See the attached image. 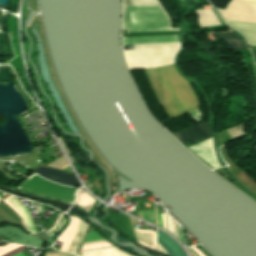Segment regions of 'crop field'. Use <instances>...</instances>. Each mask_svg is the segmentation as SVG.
Returning <instances> with one entry per match:
<instances>
[{
  "label": "crop field",
  "instance_id": "5",
  "mask_svg": "<svg viewBox=\"0 0 256 256\" xmlns=\"http://www.w3.org/2000/svg\"><path fill=\"white\" fill-rule=\"evenodd\" d=\"M217 11L222 15L224 20L256 24V3L231 0L225 11L219 9Z\"/></svg>",
  "mask_w": 256,
  "mask_h": 256
},
{
  "label": "crop field",
  "instance_id": "15",
  "mask_svg": "<svg viewBox=\"0 0 256 256\" xmlns=\"http://www.w3.org/2000/svg\"><path fill=\"white\" fill-rule=\"evenodd\" d=\"M196 14L199 27L220 25L212 10L196 11Z\"/></svg>",
  "mask_w": 256,
  "mask_h": 256
},
{
  "label": "crop field",
  "instance_id": "27",
  "mask_svg": "<svg viewBox=\"0 0 256 256\" xmlns=\"http://www.w3.org/2000/svg\"><path fill=\"white\" fill-rule=\"evenodd\" d=\"M172 49H179V48H172ZM151 50H171V49H151ZM151 50H124V51L132 52V51H151Z\"/></svg>",
  "mask_w": 256,
  "mask_h": 256
},
{
  "label": "crop field",
  "instance_id": "8",
  "mask_svg": "<svg viewBox=\"0 0 256 256\" xmlns=\"http://www.w3.org/2000/svg\"><path fill=\"white\" fill-rule=\"evenodd\" d=\"M195 154H197L202 160L211 165L214 169L221 167L213 148L212 137L197 144L189 147Z\"/></svg>",
  "mask_w": 256,
  "mask_h": 256
},
{
  "label": "crop field",
  "instance_id": "22",
  "mask_svg": "<svg viewBox=\"0 0 256 256\" xmlns=\"http://www.w3.org/2000/svg\"><path fill=\"white\" fill-rule=\"evenodd\" d=\"M229 50H244L241 39L239 40H224Z\"/></svg>",
  "mask_w": 256,
  "mask_h": 256
},
{
  "label": "crop field",
  "instance_id": "3",
  "mask_svg": "<svg viewBox=\"0 0 256 256\" xmlns=\"http://www.w3.org/2000/svg\"><path fill=\"white\" fill-rule=\"evenodd\" d=\"M19 189L72 203L76 188L66 187L43 180L35 175L30 177Z\"/></svg>",
  "mask_w": 256,
  "mask_h": 256
},
{
  "label": "crop field",
  "instance_id": "2",
  "mask_svg": "<svg viewBox=\"0 0 256 256\" xmlns=\"http://www.w3.org/2000/svg\"><path fill=\"white\" fill-rule=\"evenodd\" d=\"M171 17L162 7H124L123 28L128 32L180 31L170 29Z\"/></svg>",
  "mask_w": 256,
  "mask_h": 256
},
{
  "label": "crop field",
  "instance_id": "10",
  "mask_svg": "<svg viewBox=\"0 0 256 256\" xmlns=\"http://www.w3.org/2000/svg\"><path fill=\"white\" fill-rule=\"evenodd\" d=\"M113 248L115 247L104 241L95 231H91L88 233L79 254Z\"/></svg>",
  "mask_w": 256,
  "mask_h": 256
},
{
  "label": "crop field",
  "instance_id": "12",
  "mask_svg": "<svg viewBox=\"0 0 256 256\" xmlns=\"http://www.w3.org/2000/svg\"><path fill=\"white\" fill-rule=\"evenodd\" d=\"M225 22L242 33L247 38L249 45H256V25L231 21Z\"/></svg>",
  "mask_w": 256,
  "mask_h": 256
},
{
  "label": "crop field",
  "instance_id": "16",
  "mask_svg": "<svg viewBox=\"0 0 256 256\" xmlns=\"http://www.w3.org/2000/svg\"><path fill=\"white\" fill-rule=\"evenodd\" d=\"M1 223L21 224L20 217L14 213L4 202L0 203V224Z\"/></svg>",
  "mask_w": 256,
  "mask_h": 256
},
{
  "label": "crop field",
  "instance_id": "18",
  "mask_svg": "<svg viewBox=\"0 0 256 256\" xmlns=\"http://www.w3.org/2000/svg\"><path fill=\"white\" fill-rule=\"evenodd\" d=\"M77 256H130V255H128L118 249H113V250H107V251L81 254V255H77Z\"/></svg>",
  "mask_w": 256,
  "mask_h": 256
},
{
  "label": "crop field",
  "instance_id": "19",
  "mask_svg": "<svg viewBox=\"0 0 256 256\" xmlns=\"http://www.w3.org/2000/svg\"><path fill=\"white\" fill-rule=\"evenodd\" d=\"M124 6H160L157 0H124Z\"/></svg>",
  "mask_w": 256,
  "mask_h": 256
},
{
  "label": "crop field",
  "instance_id": "4",
  "mask_svg": "<svg viewBox=\"0 0 256 256\" xmlns=\"http://www.w3.org/2000/svg\"><path fill=\"white\" fill-rule=\"evenodd\" d=\"M179 50L125 53L129 69L153 68L174 64Z\"/></svg>",
  "mask_w": 256,
  "mask_h": 256
},
{
  "label": "crop field",
  "instance_id": "21",
  "mask_svg": "<svg viewBox=\"0 0 256 256\" xmlns=\"http://www.w3.org/2000/svg\"><path fill=\"white\" fill-rule=\"evenodd\" d=\"M134 49L138 48H171V47H181L180 43H170V44H152V45H133Z\"/></svg>",
  "mask_w": 256,
  "mask_h": 256
},
{
  "label": "crop field",
  "instance_id": "14",
  "mask_svg": "<svg viewBox=\"0 0 256 256\" xmlns=\"http://www.w3.org/2000/svg\"><path fill=\"white\" fill-rule=\"evenodd\" d=\"M137 236L138 243L156 251V234L152 231L139 230L133 228Z\"/></svg>",
  "mask_w": 256,
  "mask_h": 256
},
{
  "label": "crop field",
  "instance_id": "25",
  "mask_svg": "<svg viewBox=\"0 0 256 256\" xmlns=\"http://www.w3.org/2000/svg\"><path fill=\"white\" fill-rule=\"evenodd\" d=\"M46 256H74V255H72V254H67V253L57 252V253H55V254L46 253Z\"/></svg>",
  "mask_w": 256,
  "mask_h": 256
},
{
  "label": "crop field",
  "instance_id": "6",
  "mask_svg": "<svg viewBox=\"0 0 256 256\" xmlns=\"http://www.w3.org/2000/svg\"><path fill=\"white\" fill-rule=\"evenodd\" d=\"M71 219H72V221H71L70 225L58 239V241L63 242L61 247L59 248L60 251H64V252L67 251V249H68V247L78 229V226L81 222L76 217H72ZM87 228H88V226L85 223L81 222L80 227L77 231V234H76L68 252L75 253V254L77 253V250L87 232Z\"/></svg>",
  "mask_w": 256,
  "mask_h": 256
},
{
  "label": "crop field",
  "instance_id": "24",
  "mask_svg": "<svg viewBox=\"0 0 256 256\" xmlns=\"http://www.w3.org/2000/svg\"><path fill=\"white\" fill-rule=\"evenodd\" d=\"M209 1H210L215 7L224 9L226 3H227L229 0H209ZM247 1L256 2V0H247Z\"/></svg>",
  "mask_w": 256,
  "mask_h": 256
},
{
  "label": "crop field",
  "instance_id": "9",
  "mask_svg": "<svg viewBox=\"0 0 256 256\" xmlns=\"http://www.w3.org/2000/svg\"><path fill=\"white\" fill-rule=\"evenodd\" d=\"M33 171H35L40 176H42L46 179L53 180L57 183L70 185V186H74V187H76V185L78 184V180H77L76 176L70 175L67 173H63L60 171H56L53 169H49V168H46L43 166H41Z\"/></svg>",
  "mask_w": 256,
  "mask_h": 256
},
{
  "label": "crop field",
  "instance_id": "23",
  "mask_svg": "<svg viewBox=\"0 0 256 256\" xmlns=\"http://www.w3.org/2000/svg\"><path fill=\"white\" fill-rule=\"evenodd\" d=\"M212 36L214 37V39H239V38H241L235 32L222 33V34H212Z\"/></svg>",
  "mask_w": 256,
  "mask_h": 256
},
{
  "label": "crop field",
  "instance_id": "11",
  "mask_svg": "<svg viewBox=\"0 0 256 256\" xmlns=\"http://www.w3.org/2000/svg\"><path fill=\"white\" fill-rule=\"evenodd\" d=\"M179 42L178 35L123 38V44Z\"/></svg>",
  "mask_w": 256,
  "mask_h": 256
},
{
  "label": "crop field",
  "instance_id": "30",
  "mask_svg": "<svg viewBox=\"0 0 256 256\" xmlns=\"http://www.w3.org/2000/svg\"><path fill=\"white\" fill-rule=\"evenodd\" d=\"M1 201V200H0Z\"/></svg>",
  "mask_w": 256,
  "mask_h": 256
},
{
  "label": "crop field",
  "instance_id": "26",
  "mask_svg": "<svg viewBox=\"0 0 256 256\" xmlns=\"http://www.w3.org/2000/svg\"><path fill=\"white\" fill-rule=\"evenodd\" d=\"M23 252V254L25 255V256H34L32 253H28L27 251H22ZM22 252H20V253H18V254H16V255H14V256H24L23 254H22Z\"/></svg>",
  "mask_w": 256,
  "mask_h": 256
},
{
  "label": "crop field",
  "instance_id": "29",
  "mask_svg": "<svg viewBox=\"0 0 256 256\" xmlns=\"http://www.w3.org/2000/svg\"><path fill=\"white\" fill-rule=\"evenodd\" d=\"M253 67H254V73H255V77H256V66L253 65Z\"/></svg>",
  "mask_w": 256,
  "mask_h": 256
},
{
  "label": "crop field",
  "instance_id": "20",
  "mask_svg": "<svg viewBox=\"0 0 256 256\" xmlns=\"http://www.w3.org/2000/svg\"><path fill=\"white\" fill-rule=\"evenodd\" d=\"M243 124L227 129V132L229 133V135L232 137L233 140L241 136H245V133L243 131Z\"/></svg>",
  "mask_w": 256,
  "mask_h": 256
},
{
  "label": "crop field",
  "instance_id": "13",
  "mask_svg": "<svg viewBox=\"0 0 256 256\" xmlns=\"http://www.w3.org/2000/svg\"><path fill=\"white\" fill-rule=\"evenodd\" d=\"M155 213H156V218H157V224L160 226H162V224H163V228L169 230L182 243H184V238L182 236L180 228L168 217L167 213L161 214L162 224H161V217H160V214H158L157 207H155Z\"/></svg>",
  "mask_w": 256,
  "mask_h": 256
},
{
  "label": "crop field",
  "instance_id": "7",
  "mask_svg": "<svg viewBox=\"0 0 256 256\" xmlns=\"http://www.w3.org/2000/svg\"><path fill=\"white\" fill-rule=\"evenodd\" d=\"M211 135L207 122L173 134L180 143L187 141L190 145Z\"/></svg>",
  "mask_w": 256,
  "mask_h": 256
},
{
  "label": "crop field",
  "instance_id": "17",
  "mask_svg": "<svg viewBox=\"0 0 256 256\" xmlns=\"http://www.w3.org/2000/svg\"><path fill=\"white\" fill-rule=\"evenodd\" d=\"M93 202V199L86 194L84 191H80L78 194V200L77 205L85 209L86 211L89 210L91 204Z\"/></svg>",
  "mask_w": 256,
  "mask_h": 256
},
{
  "label": "crop field",
  "instance_id": "28",
  "mask_svg": "<svg viewBox=\"0 0 256 256\" xmlns=\"http://www.w3.org/2000/svg\"><path fill=\"white\" fill-rule=\"evenodd\" d=\"M139 217L143 219L141 211L138 212Z\"/></svg>",
  "mask_w": 256,
  "mask_h": 256
},
{
  "label": "crop field",
  "instance_id": "1",
  "mask_svg": "<svg viewBox=\"0 0 256 256\" xmlns=\"http://www.w3.org/2000/svg\"><path fill=\"white\" fill-rule=\"evenodd\" d=\"M144 70L169 119L199 108L188 81L176 71L174 65Z\"/></svg>",
  "mask_w": 256,
  "mask_h": 256
}]
</instances>
